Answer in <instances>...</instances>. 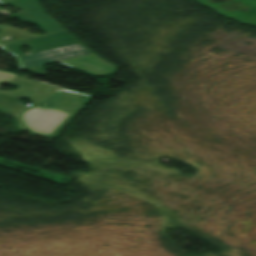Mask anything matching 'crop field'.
Wrapping results in <instances>:
<instances>
[{"mask_svg": "<svg viewBox=\"0 0 256 256\" xmlns=\"http://www.w3.org/2000/svg\"><path fill=\"white\" fill-rule=\"evenodd\" d=\"M0 14L2 15H7V14H10L9 12L5 11V10H0Z\"/></svg>", "mask_w": 256, "mask_h": 256, "instance_id": "412701ff", "label": "crop field"}, {"mask_svg": "<svg viewBox=\"0 0 256 256\" xmlns=\"http://www.w3.org/2000/svg\"><path fill=\"white\" fill-rule=\"evenodd\" d=\"M0 25V44L4 51L16 56L21 69L31 65L40 66L60 61L92 75H103L114 72L117 68L92 55L77 40L64 30L34 35L11 27L3 29ZM25 32V34H23ZM4 35H7L4 37ZM22 37H26L23 39ZM20 45H27L29 54L20 52ZM34 66V67H35Z\"/></svg>", "mask_w": 256, "mask_h": 256, "instance_id": "ac0d7876", "label": "crop field"}, {"mask_svg": "<svg viewBox=\"0 0 256 256\" xmlns=\"http://www.w3.org/2000/svg\"><path fill=\"white\" fill-rule=\"evenodd\" d=\"M0 2L23 10L16 13L17 17L31 23H38L46 33L62 29L41 11L35 0H0Z\"/></svg>", "mask_w": 256, "mask_h": 256, "instance_id": "34b2d1b8", "label": "crop field"}, {"mask_svg": "<svg viewBox=\"0 0 256 256\" xmlns=\"http://www.w3.org/2000/svg\"><path fill=\"white\" fill-rule=\"evenodd\" d=\"M8 84L17 85L20 88L13 91L0 90V112L16 116L21 129L52 138L60 133L91 97L19 76H16L15 80ZM34 87L38 89L34 90ZM49 88L53 90L46 92ZM35 91L38 92L35 94ZM17 96L28 97L34 104L31 107L17 104ZM38 103H42L45 107L36 108Z\"/></svg>", "mask_w": 256, "mask_h": 256, "instance_id": "8a807250", "label": "crop field"}]
</instances>
